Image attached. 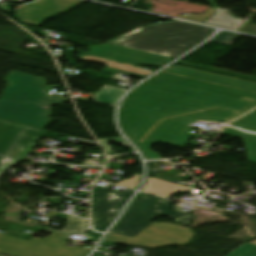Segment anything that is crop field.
<instances>
[{
  "label": "crop field",
  "mask_w": 256,
  "mask_h": 256,
  "mask_svg": "<svg viewBox=\"0 0 256 256\" xmlns=\"http://www.w3.org/2000/svg\"><path fill=\"white\" fill-rule=\"evenodd\" d=\"M46 132L0 119V176L17 164Z\"/></svg>",
  "instance_id": "obj_6"
},
{
  "label": "crop field",
  "mask_w": 256,
  "mask_h": 256,
  "mask_svg": "<svg viewBox=\"0 0 256 256\" xmlns=\"http://www.w3.org/2000/svg\"><path fill=\"white\" fill-rule=\"evenodd\" d=\"M224 130L228 131V136L240 137L244 139L249 160L256 162V135L248 134L229 126L225 127Z\"/></svg>",
  "instance_id": "obj_13"
},
{
  "label": "crop field",
  "mask_w": 256,
  "mask_h": 256,
  "mask_svg": "<svg viewBox=\"0 0 256 256\" xmlns=\"http://www.w3.org/2000/svg\"><path fill=\"white\" fill-rule=\"evenodd\" d=\"M213 13H214L213 9H209L206 13L202 15H198V14L181 15L178 18L193 20V21L202 23L204 20L210 17Z\"/></svg>",
  "instance_id": "obj_19"
},
{
  "label": "crop field",
  "mask_w": 256,
  "mask_h": 256,
  "mask_svg": "<svg viewBox=\"0 0 256 256\" xmlns=\"http://www.w3.org/2000/svg\"><path fill=\"white\" fill-rule=\"evenodd\" d=\"M110 46L111 45H109V44H103L102 50L90 47L88 54H90L92 56L102 57V58L109 60Z\"/></svg>",
  "instance_id": "obj_17"
},
{
  "label": "crop field",
  "mask_w": 256,
  "mask_h": 256,
  "mask_svg": "<svg viewBox=\"0 0 256 256\" xmlns=\"http://www.w3.org/2000/svg\"><path fill=\"white\" fill-rule=\"evenodd\" d=\"M103 147L105 148V150L107 151V153L112 152L110 146H108V145H103Z\"/></svg>",
  "instance_id": "obj_26"
},
{
  "label": "crop field",
  "mask_w": 256,
  "mask_h": 256,
  "mask_svg": "<svg viewBox=\"0 0 256 256\" xmlns=\"http://www.w3.org/2000/svg\"><path fill=\"white\" fill-rule=\"evenodd\" d=\"M9 82L0 98V118L46 129L50 120V105H63L66 99L49 97L45 78L11 71Z\"/></svg>",
  "instance_id": "obj_2"
},
{
  "label": "crop field",
  "mask_w": 256,
  "mask_h": 256,
  "mask_svg": "<svg viewBox=\"0 0 256 256\" xmlns=\"http://www.w3.org/2000/svg\"><path fill=\"white\" fill-rule=\"evenodd\" d=\"M181 40H186V41H190V42H194V43H199L200 41H202L203 39L194 35H187L185 36L183 39Z\"/></svg>",
  "instance_id": "obj_24"
},
{
  "label": "crop field",
  "mask_w": 256,
  "mask_h": 256,
  "mask_svg": "<svg viewBox=\"0 0 256 256\" xmlns=\"http://www.w3.org/2000/svg\"><path fill=\"white\" fill-rule=\"evenodd\" d=\"M125 91H126L125 89H120V88H115V87H110V86H104L97 95H99L101 93H106V94H109V95H111L114 98L119 100V98L122 96V94Z\"/></svg>",
  "instance_id": "obj_20"
},
{
  "label": "crop field",
  "mask_w": 256,
  "mask_h": 256,
  "mask_svg": "<svg viewBox=\"0 0 256 256\" xmlns=\"http://www.w3.org/2000/svg\"><path fill=\"white\" fill-rule=\"evenodd\" d=\"M87 227H88V220L69 215L67 225L62 230V232L71 233V234L73 233L84 234L86 232Z\"/></svg>",
  "instance_id": "obj_15"
},
{
  "label": "crop field",
  "mask_w": 256,
  "mask_h": 256,
  "mask_svg": "<svg viewBox=\"0 0 256 256\" xmlns=\"http://www.w3.org/2000/svg\"><path fill=\"white\" fill-rule=\"evenodd\" d=\"M253 246H254V244L247 243V244L243 245L242 247H240L239 249H237L236 251L229 254L228 256H239Z\"/></svg>",
  "instance_id": "obj_23"
},
{
  "label": "crop field",
  "mask_w": 256,
  "mask_h": 256,
  "mask_svg": "<svg viewBox=\"0 0 256 256\" xmlns=\"http://www.w3.org/2000/svg\"><path fill=\"white\" fill-rule=\"evenodd\" d=\"M170 208L166 199L139 193L112 232L134 238L159 216L188 227L193 217L172 213Z\"/></svg>",
  "instance_id": "obj_4"
},
{
  "label": "crop field",
  "mask_w": 256,
  "mask_h": 256,
  "mask_svg": "<svg viewBox=\"0 0 256 256\" xmlns=\"http://www.w3.org/2000/svg\"><path fill=\"white\" fill-rule=\"evenodd\" d=\"M110 60L132 65L143 64L162 67L167 62L173 60L134 49L119 47L112 45Z\"/></svg>",
  "instance_id": "obj_11"
},
{
  "label": "crop field",
  "mask_w": 256,
  "mask_h": 256,
  "mask_svg": "<svg viewBox=\"0 0 256 256\" xmlns=\"http://www.w3.org/2000/svg\"><path fill=\"white\" fill-rule=\"evenodd\" d=\"M164 72L174 73V74L195 78V79H199V80H203L211 83L223 84V85H227V86H231V87L256 93V84L248 83V82H244V81H240V80H236V79H232V78H228V77H224V76H220L212 73H207V72L180 67L176 65L169 67L168 69L164 70Z\"/></svg>",
  "instance_id": "obj_10"
},
{
  "label": "crop field",
  "mask_w": 256,
  "mask_h": 256,
  "mask_svg": "<svg viewBox=\"0 0 256 256\" xmlns=\"http://www.w3.org/2000/svg\"><path fill=\"white\" fill-rule=\"evenodd\" d=\"M93 256H105V255H101V254L95 253Z\"/></svg>",
  "instance_id": "obj_27"
},
{
  "label": "crop field",
  "mask_w": 256,
  "mask_h": 256,
  "mask_svg": "<svg viewBox=\"0 0 256 256\" xmlns=\"http://www.w3.org/2000/svg\"><path fill=\"white\" fill-rule=\"evenodd\" d=\"M95 191L97 194L93 196V224L96 230L104 231L110 219L132 191L127 190L122 195L107 192L101 188Z\"/></svg>",
  "instance_id": "obj_9"
},
{
  "label": "crop field",
  "mask_w": 256,
  "mask_h": 256,
  "mask_svg": "<svg viewBox=\"0 0 256 256\" xmlns=\"http://www.w3.org/2000/svg\"><path fill=\"white\" fill-rule=\"evenodd\" d=\"M230 125L252 133H256V110Z\"/></svg>",
  "instance_id": "obj_16"
},
{
  "label": "crop field",
  "mask_w": 256,
  "mask_h": 256,
  "mask_svg": "<svg viewBox=\"0 0 256 256\" xmlns=\"http://www.w3.org/2000/svg\"><path fill=\"white\" fill-rule=\"evenodd\" d=\"M159 103L155 100L130 94L124 101L120 110V120L124 132H128L130 127L136 122L140 114L131 112L137 105H143L150 110H155Z\"/></svg>",
  "instance_id": "obj_12"
},
{
  "label": "crop field",
  "mask_w": 256,
  "mask_h": 256,
  "mask_svg": "<svg viewBox=\"0 0 256 256\" xmlns=\"http://www.w3.org/2000/svg\"><path fill=\"white\" fill-rule=\"evenodd\" d=\"M93 99H95L96 103H100V104H104V105H108V106H112L115 107L116 103L118 100L114 99L113 97L109 96V95H105L102 94L100 96H95L93 97Z\"/></svg>",
  "instance_id": "obj_21"
},
{
  "label": "crop field",
  "mask_w": 256,
  "mask_h": 256,
  "mask_svg": "<svg viewBox=\"0 0 256 256\" xmlns=\"http://www.w3.org/2000/svg\"><path fill=\"white\" fill-rule=\"evenodd\" d=\"M101 144H107L108 141H114L115 144L134 150L129 144H127L122 138H107L99 140Z\"/></svg>",
  "instance_id": "obj_22"
},
{
  "label": "crop field",
  "mask_w": 256,
  "mask_h": 256,
  "mask_svg": "<svg viewBox=\"0 0 256 256\" xmlns=\"http://www.w3.org/2000/svg\"><path fill=\"white\" fill-rule=\"evenodd\" d=\"M83 2L75 0H35L16 8L14 10L16 11L15 17L20 22L38 26L54 14L58 12L66 13ZM65 3L68 4L65 5ZM18 12L21 13L18 14Z\"/></svg>",
  "instance_id": "obj_8"
},
{
  "label": "crop field",
  "mask_w": 256,
  "mask_h": 256,
  "mask_svg": "<svg viewBox=\"0 0 256 256\" xmlns=\"http://www.w3.org/2000/svg\"><path fill=\"white\" fill-rule=\"evenodd\" d=\"M132 93L153 98L160 103L155 111L142 106L136 107L133 111L140 113L141 117L127 133L144 150L148 159H161L159 154L150 150L158 141L183 148L193 135V128L189 125L195 121L227 123L256 106L255 93L164 72ZM215 107L220 109L164 120L143 142L140 141L163 118Z\"/></svg>",
  "instance_id": "obj_1"
},
{
  "label": "crop field",
  "mask_w": 256,
  "mask_h": 256,
  "mask_svg": "<svg viewBox=\"0 0 256 256\" xmlns=\"http://www.w3.org/2000/svg\"><path fill=\"white\" fill-rule=\"evenodd\" d=\"M238 36V34L223 32L212 40V42L232 44Z\"/></svg>",
  "instance_id": "obj_18"
},
{
  "label": "crop field",
  "mask_w": 256,
  "mask_h": 256,
  "mask_svg": "<svg viewBox=\"0 0 256 256\" xmlns=\"http://www.w3.org/2000/svg\"><path fill=\"white\" fill-rule=\"evenodd\" d=\"M212 32L210 28L173 21L139 28L108 43L175 58L196 45L179 41L182 37L194 34L206 38Z\"/></svg>",
  "instance_id": "obj_3"
},
{
  "label": "crop field",
  "mask_w": 256,
  "mask_h": 256,
  "mask_svg": "<svg viewBox=\"0 0 256 256\" xmlns=\"http://www.w3.org/2000/svg\"><path fill=\"white\" fill-rule=\"evenodd\" d=\"M254 249H256V246H254L253 248H251L250 250H248V251L245 252L244 254H246V253H248V252H250V251H252V250H254ZM244 254H242L241 256H243ZM247 256H256V251H254V252L248 254Z\"/></svg>",
  "instance_id": "obj_25"
},
{
  "label": "crop field",
  "mask_w": 256,
  "mask_h": 256,
  "mask_svg": "<svg viewBox=\"0 0 256 256\" xmlns=\"http://www.w3.org/2000/svg\"><path fill=\"white\" fill-rule=\"evenodd\" d=\"M69 234L54 232L49 237L28 240L0 233V254L8 256H86L90 250L67 248Z\"/></svg>",
  "instance_id": "obj_5"
},
{
  "label": "crop field",
  "mask_w": 256,
  "mask_h": 256,
  "mask_svg": "<svg viewBox=\"0 0 256 256\" xmlns=\"http://www.w3.org/2000/svg\"><path fill=\"white\" fill-rule=\"evenodd\" d=\"M195 235L194 230L170 223H153L134 239L109 234L105 242L154 248L166 245L188 243Z\"/></svg>",
  "instance_id": "obj_7"
},
{
  "label": "crop field",
  "mask_w": 256,
  "mask_h": 256,
  "mask_svg": "<svg viewBox=\"0 0 256 256\" xmlns=\"http://www.w3.org/2000/svg\"><path fill=\"white\" fill-rule=\"evenodd\" d=\"M205 23L218 27L234 29L237 28L242 21L233 19L227 12L217 10V14Z\"/></svg>",
  "instance_id": "obj_14"
},
{
  "label": "crop field",
  "mask_w": 256,
  "mask_h": 256,
  "mask_svg": "<svg viewBox=\"0 0 256 256\" xmlns=\"http://www.w3.org/2000/svg\"><path fill=\"white\" fill-rule=\"evenodd\" d=\"M251 243H255V244H256V240H255V241H253V242H251Z\"/></svg>",
  "instance_id": "obj_28"
}]
</instances>
